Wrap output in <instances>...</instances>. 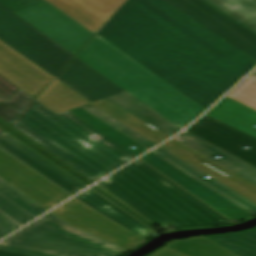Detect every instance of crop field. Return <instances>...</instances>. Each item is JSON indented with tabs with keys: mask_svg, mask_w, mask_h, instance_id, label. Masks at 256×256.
Returning <instances> with one entry per match:
<instances>
[{
	"mask_svg": "<svg viewBox=\"0 0 256 256\" xmlns=\"http://www.w3.org/2000/svg\"><path fill=\"white\" fill-rule=\"evenodd\" d=\"M104 27L211 102L256 62L164 0H129Z\"/></svg>",
	"mask_w": 256,
	"mask_h": 256,
	"instance_id": "8a807250",
	"label": "crop field"
},
{
	"mask_svg": "<svg viewBox=\"0 0 256 256\" xmlns=\"http://www.w3.org/2000/svg\"><path fill=\"white\" fill-rule=\"evenodd\" d=\"M98 185L160 228L232 224L140 159Z\"/></svg>",
	"mask_w": 256,
	"mask_h": 256,
	"instance_id": "ac0d7876",
	"label": "crop field"
},
{
	"mask_svg": "<svg viewBox=\"0 0 256 256\" xmlns=\"http://www.w3.org/2000/svg\"><path fill=\"white\" fill-rule=\"evenodd\" d=\"M12 126L93 181L136 158L71 113L56 116L36 100Z\"/></svg>",
	"mask_w": 256,
	"mask_h": 256,
	"instance_id": "34b2d1b8",
	"label": "crop field"
},
{
	"mask_svg": "<svg viewBox=\"0 0 256 256\" xmlns=\"http://www.w3.org/2000/svg\"><path fill=\"white\" fill-rule=\"evenodd\" d=\"M76 57L180 129L205 111L97 34Z\"/></svg>",
	"mask_w": 256,
	"mask_h": 256,
	"instance_id": "412701ff",
	"label": "crop field"
},
{
	"mask_svg": "<svg viewBox=\"0 0 256 256\" xmlns=\"http://www.w3.org/2000/svg\"><path fill=\"white\" fill-rule=\"evenodd\" d=\"M50 213L0 242V250L31 256H118L127 252Z\"/></svg>",
	"mask_w": 256,
	"mask_h": 256,
	"instance_id": "f4fd0767",
	"label": "crop field"
},
{
	"mask_svg": "<svg viewBox=\"0 0 256 256\" xmlns=\"http://www.w3.org/2000/svg\"><path fill=\"white\" fill-rule=\"evenodd\" d=\"M0 39L54 76L74 56L1 4Z\"/></svg>",
	"mask_w": 256,
	"mask_h": 256,
	"instance_id": "dd49c442",
	"label": "crop field"
},
{
	"mask_svg": "<svg viewBox=\"0 0 256 256\" xmlns=\"http://www.w3.org/2000/svg\"><path fill=\"white\" fill-rule=\"evenodd\" d=\"M0 3L74 55L94 35L46 0Z\"/></svg>",
	"mask_w": 256,
	"mask_h": 256,
	"instance_id": "e52e79f7",
	"label": "crop field"
},
{
	"mask_svg": "<svg viewBox=\"0 0 256 256\" xmlns=\"http://www.w3.org/2000/svg\"><path fill=\"white\" fill-rule=\"evenodd\" d=\"M51 213L67 224L127 251L145 241L75 198Z\"/></svg>",
	"mask_w": 256,
	"mask_h": 256,
	"instance_id": "d8731c3e",
	"label": "crop field"
},
{
	"mask_svg": "<svg viewBox=\"0 0 256 256\" xmlns=\"http://www.w3.org/2000/svg\"><path fill=\"white\" fill-rule=\"evenodd\" d=\"M256 61V34L204 0H166Z\"/></svg>",
	"mask_w": 256,
	"mask_h": 256,
	"instance_id": "5a996713",
	"label": "crop field"
},
{
	"mask_svg": "<svg viewBox=\"0 0 256 256\" xmlns=\"http://www.w3.org/2000/svg\"><path fill=\"white\" fill-rule=\"evenodd\" d=\"M0 178L48 210L72 196L1 148Z\"/></svg>",
	"mask_w": 256,
	"mask_h": 256,
	"instance_id": "3316defc",
	"label": "crop field"
},
{
	"mask_svg": "<svg viewBox=\"0 0 256 256\" xmlns=\"http://www.w3.org/2000/svg\"><path fill=\"white\" fill-rule=\"evenodd\" d=\"M140 159L222 214L227 219L240 221L252 217V215L247 211L243 210L154 153L150 152Z\"/></svg>",
	"mask_w": 256,
	"mask_h": 256,
	"instance_id": "28ad6ade",
	"label": "crop field"
},
{
	"mask_svg": "<svg viewBox=\"0 0 256 256\" xmlns=\"http://www.w3.org/2000/svg\"><path fill=\"white\" fill-rule=\"evenodd\" d=\"M186 131L256 167V138L206 115Z\"/></svg>",
	"mask_w": 256,
	"mask_h": 256,
	"instance_id": "d1516ede",
	"label": "crop field"
},
{
	"mask_svg": "<svg viewBox=\"0 0 256 256\" xmlns=\"http://www.w3.org/2000/svg\"><path fill=\"white\" fill-rule=\"evenodd\" d=\"M0 75L33 98L54 78L7 44L0 46Z\"/></svg>",
	"mask_w": 256,
	"mask_h": 256,
	"instance_id": "22f410ed",
	"label": "crop field"
},
{
	"mask_svg": "<svg viewBox=\"0 0 256 256\" xmlns=\"http://www.w3.org/2000/svg\"><path fill=\"white\" fill-rule=\"evenodd\" d=\"M182 159L186 163L200 170L204 174L216 179L252 202L256 203V185L207 159L199 153L182 145L181 143L170 140L164 145L160 146ZM197 160L193 161L192 159Z\"/></svg>",
	"mask_w": 256,
	"mask_h": 256,
	"instance_id": "cbeb9de0",
	"label": "crop field"
},
{
	"mask_svg": "<svg viewBox=\"0 0 256 256\" xmlns=\"http://www.w3.org/2000/svg\"><path fill=\"white\" fill-rule=\"evenodd\" d=\"M56 78L92 103L124 92L76 57Z\"/></svg>",
	"mask_w": 256,
	"mask_h": 256,
	"instance_id": "5142ce71",
	"label": "crop field"
},
{
	"mask_svg": "<svg viewBox=\"0 0 256 256\" xmlns=\"http://www.w3.org/2000/svg\"><path fill=\"white\" fill-rule=\"evenodd\" d=\"M45 211L47 210L0 180V238Z\"/></svg>",
	"mask_w": 256,
	"mask_h": 256,
	"instance_id": "d9b57169",
	"label": "crop field"
},
{
	"mask_svg": "<svg viewBox=\"0 0 256 256\" xmlns=\"http://www.w3.org/2000/svg\"><path fill=\"white\" fill-rule=\"evenodd\" d=\"M92 33L119 9L126 0H47Z\"/></svg>",
	"mask_w": 256,
	"mask_h": 256,
	"instance_id": "733c2abd",
	"label": "crop field"
},
{
	"mask_svg": "<svg viewBox=\"0 0 256 256\" xmlns=\"http://www.w3.org/2000/svg\"><path fill=\"white\" fill-rule=\"evenodd\" d=\"M0 147L72 195L85 187L6 133L0 138Z\"/></svg>",
	"mask_w": 256,
	"mask_h": 256,
	"instance_id": "4a817a6b",
	"label": "crop field"
},
{
	"mask_svg": "<svg viewBox=\"0 0 256 256\" xmlns=\"http://www.w3.org/2000/svg\"><path fill=\"white\" fill-rule=\"evenodd\" d=\"M97 34L109 41L111 44L116 46L118 49L123 51L125 54L133 58L135 61L140 63L142 66L150 70L152 73L160 77L162 80L170 84L172 87L177 89L179 92L187 96L189 99L197 103L205 110L213 103L205 99L203 96L183 84L181 81L170 75L168 72L163 70L161 67L153 63L151 60L146 58L144 55L139 53L137 50L132 48L130 45L125 43L123 40L115 36L113 33L108 31L106 28H102Z\"/></svg>",
	"mask_w": 256,
	"mask_h": 256,
	"instance_id": "bc2a9ffb",
	"label": "crop field"
},
{
	"mask_svg": "<svg viewBox=\"0 0 256 256\" xmlns=\"http://www.w3.org/2000/svg\"><path fill=\"white\" fill-rule=\"evenodd\" d=\"M191 149L199 152L207 158L242 176L243 178L256 184V168L231 156L230 154L208 144L207 142L187 133L182 132L173 138ZM220 156L217 160L215 157Z\"/></svg>",
	"mask_w": 256,
	"mask_h": 256,
	"instance_id": "214f88e0",
	"label": "crop field"
},
{
	"mask_svg": "<svg viewBox=\"0 0 256 256\" xmlns=\"http://www.w3.org/2000/svg\"><path fill=\"white\" fill-rule=\"evenodd\" d=\"M206 115L256 137V110L228 97L221 100Z\"/></svg>",
	"mask_w": 256,
	"mask_h": 256,
	"instance_id": "92a150f3",
	"label": "crop field"
},
{
	"mask_svg": "<svg viewBox=\"0 0 256 256\" xmlns=\"http://www.w3.org/2000/svg\"><path fill=\"white\" fill-rule=\"evenodd\" d=\"M152 152L167 160L171 164L175 165L179 169L183 170L187 174L191 175L195 179L199 180L203 184L207 185L211 189L215 190L219 194L223 195L227 199L231 200L235 204L247 210L248 212L256 214V204L252 203L251 201L247 200L246 198L242 197L241 195L237 194L236 192L232 191L231 189L227 188L226 186L222 185L216 180L212 178H205L207 177L206 175L191 167L190 165L186 164L177 157L173 156L172 154L168 153L164 149L159 147Z\"/></svg>",
	"mask_w": 256,
	"mask_h": 256,
	"instance_id": "dafd665d",
	"label": "crop field"
},
{
	"mask_svg": "<svg viewBox=\"0 0 256 256\" xmlns=\"http://www.w3.org/2000/svg\"><path fill=\"white\" fill-rule=\"evenodd\" d=\"M36 100L56 115L90 103L58 79H55Z\"/></svg>",
	"mask_w": 256,
	"mask_h": 256,
	"instance_id": "00972430",
	"label": "crop field"
},
{
	"mask_svg": "<svg viewBox=\"0 0 256 256\" xmlns=\"http://www.w3.org/2000/svg\"><path fill=\"white\" fill-rule=\"evenodd\" d=\"M106 99L170 136L180 130L127 92Z\"/></svg>",
	"mask_w": 256,
	"mask_h": 256,
	"instance_id": "a9b5d70f",
	"label": "crop field"
},
{
	"mask_svg": "<svg viewBox=\"0 0 256 256\" xmlns=\"http://www.w3.org/2000/svg\"><path fill=\"white\" fill-rule=\"evenodd\" d=\"M92 105L156 144L169 137V135L163 133L162 131L156 129L155 127L140 120L139 118L105 99Z\"/></svg>",
	"mask_w": 256,
	"mask_h": 256,
	"instance_id": "4177f3b9",
	"label": "crop field"
},
{
	"mask_svg": "<svg viewBox=\"0 0 256 256\" xmlns=\"http://www.w3.org/2000/svg\"><path fill=\"white\" fill-rule=\"evenodd\" d=\"M0 98L3 99H0V118L9 124L33 100L2 76H0Z\"/></svg>",
	"mask_w": 256,
	"mask_h": 256,
	"instance_id": "730fd06b",
	"label": "crop field"
},
{
	"mask_svg": "<svg viewBox=\"0 0 256 256\" xmlns=\"http://www.w3.org/2000/svg\"><path fill=\"white\" fill-rule=\"evenodd\" d=\"M256 33V0H206Z\"/></svg>",
	"mask_w": 256,
	"mask_h": 256,
	"instance_id": "eef30255",
	"label": "crop field"
},
{
	"mask_svg": "<svg viewBox=\"0 0 256 256\" xmlns=\"http://www.w3.org/2000/svg\"><path fill=\"white\" fill-rule=\"evenodd\" d=\"M72 114L80 118L81 120L85 121L98 131H100L102 134L107 136L109 139H111L113 142L124 148L129 153L137 156L140 153L144 152L145 149L137 142L133 141L129 137L125 136L124 134L120 133L116 129L112 128L111 126L107 125L106 123L102 122L98 118L94 117L93 115L89 114L85 110L79 108L73 111H70ZM134 146L137 149L132 150L130 147Z\"/></svg>",
	"mask_w": 256,
	"mask_h": 256,
	"instance_id": "ae1a2a85",
	"label": "crop field"
},
{
	"mask_svg": "<svg viewBox=\"0 0 256 256\" xmlns=\"http://www.w3.org/2000/svg\"><path fill=\"white\" fill-rule=\"evenodd\" d=\"M163 247L186 256H236L204 237L175 241Z\"/></svg>",
	"mask_w": 256,
	"mask_h": 256,
	"instance_id": "d3111659",
	"label": "crop field"
},
{
	"mask_svg": "<svg viewBox=\"0 0 256 256\" xmlns=\"http://www.w3.org/2000/svg\"><path fill=\"white\" fill-rule=\"evenodd\" d=\"M238 256H256V229L242 234L206 237Z\"/></svg>",
	"mask_w": 256,
	"mask_h": 256,
	"instance_id": "750c4746",
	"label": "crop field"
},
{
	"mask_svg": "<svg viewBox=\"0 0 256 256\" xmlns=\"http://www.w3.org/2000/svg\"><path fill=\"white\" fill-rule=\"evenodd\" d=\"M75 198L79 199L80 201L87 204L91 208L95 209L96 211L100 212L101 214L115 221L121 226L127 228L133 233L139 235L140 237L144 239L151 237L144 233L143 231H141L140 229H138L137 227H135L134 225H132L131 223H129L128 221H126L125 219H123L122 217H120L119 215H117L116 213H114L113 211H111L110 209H108L107 207H105L104 205H102L101 203H99L98 201H96L95 199H93L92 197H90L89 195H87L86 193L83 192Z\"/></svg>",
	"mask_w": 256,
	"mask_h": 256,
	"instance_id": "bd1437ed",
	"label": "crop field"
},
{
	"mask_svg": "<svg viewBox=\"0 0 256 256\" xmlns=\"http://www.w3.org/2000/svg\"><path fill=\"white\" fill-rule=\"evenodd\" d=\"M89 113L93 114L94 116L98 117L102 121L106 122L107 124L111 125L112 127L116 128L120 132L124 133L125 135L129 136L133 140L137 141L145 148H150L156 144L152 143L151 141L147 140L146 138L142 137L138 133L134 132L133 130L129 129L128 127L124 126L123 124L119 123L118 121L114 120L113 118L109 117L105 113L101 112L100 110L96 109L95 107L91 106L90 104L82 107Z\"/></svg>",
	"mask_w": 256,
	"mask_h": 256,
	"instance_id": "1d83c4d3",
	"label": "crop field"
},
{
	"mask_svg": "<svg viewBox=\"0 0 256 256\" xmlns=\"http://www.w3.org/2000/svg\"><path fill=\"white\" fill-rule=\"evenodd\" d=\"M228 97L256 109V76L248 77Z\"/></svg>",
	"mask_w": 256,
	"mask_h": 256,
	"instance_id": "120bbe31",
	"label": "crop field"
},
{
	"mask_svg": "<svg viewBox=\"0 0 256 256\" xmlns=\"http://www.w3.org/2000/svg\"><path fill=\"white\" fill-rule=\"evenodd\" d=\"M85 192L87 194H89L90 196H92L93 198H95L96 200H98L99 202H101L102 204H104L105 206H107L108 208H110L111 210H113L114 212H116L117 214H119L120 216H122L123 218H125L126 220H128L129 222H131L132 224H134L135 226H137L138 228H140L141 230H143L144 232H146L147 234H149V235L153 234V231H151L147 227L143 226L142 224H140L139 222H137L136 220H134L133 218H131L127 214L120 211L119 209H117L116 207L111 205L109 202H107L106 200H104L103 198L98 196L93 191L87 190Z\"/></svg>",
	"mask_w": 256,
	"mask_h": 256,
	"instance_id": "d32e631a",
	"label": "crop field"
},
{
	"mask_svg": "<svg viewBox=\"0 0 256 256\" xmlns=\"http://www.w3.org/2000/svg\"><path fill=\"white\" fill-rule=\"evenodd\" d=\"M149 256H184L179 253L173 252L171 250L165 249L163 247L159 248Z\"/></svg>",
	"mask_w": 256,
	"mask_h": 256,
	"instance_id": "5866460e",
	"label": "crop field"
},
{
	"mask_svg": "<svg viewBox=\"0 0 256 256\" xmlns=\"http://www.w3.org/2000/svg\"><path fill=\"white\" fill-rule=\"evenodd\" d=\"M0 256H26V255H20V254H14V253L0 251Z\"/></svg>",
	"mask_w": 256,
	"mask_h": 256,
	"instance_id": "028f5c9d",
	"label": "crop field"
},
{
	"mask_svg": "<svg viewBox=\"0 0 256 256\" xmlns=\"http://www.w3.org/2000/svg\"><path fill=\"white\" fill-rule=\"evenodd\" d=\"M1 44H5V43H4L3 41H1V40H0V45H1Z\"/></svg>",
	"mask_w": 256,
	"mask_h": 256,
	"instance_id": "e1f06a70",
	"label": "crop field"
},
{
	"mask_svg": "<svg viewBox=\"0 0 256 256\" xmlns=\"http://www.w3.org/2000/svg\"><path fill=\"white\" fill-rule=\"evenodd\" d=\"M253 75H256V71L253 73Z\"/></svg>",
	"mask_w": 256,
	"mask_h": 256,
	"instance_id": "0bd39190",
	"label": "crop field"
}]
</instances>
